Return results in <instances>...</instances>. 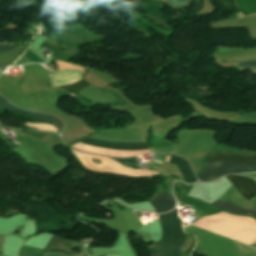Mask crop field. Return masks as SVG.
<instances>
[{"mask_svg":"<svg viewBox=\"0 0 256 256\" xmlns=\"http://www.w3.org/2000/svg\"><path fill=\"white\" fill-rule=\"evenodd\" d=\"M90 84L88 82H86L84 79H82L81 81H79L78 83L75 84H71V85H67V86H63V87H59L60 89H64V90H75V91H79V90H83L86 87H88Z\"/></svg>","mask_w":256,"mask_h":256,"instance_id":"crop-field-11","label":"crop field"},{"mask_svg":"<svg viewBox=\"0 0 256 256\" xmlns=\"http://www.w3.org/2000/svg\"><path fill=\"white\" fill-rule=\"evenodd\" d=\"M172 6H183L188 4L187 0H167Z\"/></svg>","mask_w":256,"mask_h":256,"instance_id":"crop-field-14","label":"crop field"},{"mask_svg":"<svg viewBox=\"0 0 256 256\" xmlns=\"http://www.w3.org/2000/svg\"><path fill=\"white\" fill-rule=\"evenodd\" d=\"M228 180H230L240 194L250 200L256 194V184L253 179L238 177L234 175L225 176ZM251 197V198H250Z\"/></svg>","mask_w":256,"mask_h":256,"instance_id":"crop-field-6","label":"crop field"},{"mask_svg":"<svg viewBox=\"0 0 256 256\" xmlns=\"http://www.w3.org/2000/svg\"><path fill=\"white\" fill-rule=\"evenodd\" d=\"M182 159L176 156H171V160H170V157L167 156L166 162H169L170 160V162L176 164L182 175L183 180L185 182L192 183L193 181H195L196 178L193 172L191 171L188 163Z\"/></svg>","mask_w":256,"mask_h":256,"instance_id":"crop-field-8","label":"crop field"},{"mask_svg":"<svg viewBox=\"0 0 256 256\" xmlns=\"http://www.w3.org/2000/svg\"><path fill=\"white\" fill-rule=\"evenodd\" d=\"M211 205H214V206H216L220 209L226 210V211H230V212L242 214V215H249V216H253L256 218V210L251 211V210L239 208L231 203H227V202H223V201H214L211 203Z\"/></svg>","mask_w":256,"mask_h":256,"instance_id":"crop-field-9","label":"crop field"},{"mask_svg":"<svg viewBox=\"0 0 256 256\" xmlns=\"http://www.w3.org/2000/svg\"><path fill=\"white\" fill-rule=\"evenodd\" d=\"M161 223L162 236L155 246L149 249L152 256H179L178 252L186 240L182 231V222L178 217L177 208L164 215H158Z\"/></svg>","mask_w":256,"mask_h":256,"instance_id":"crop-field-2","label":"crop field"},{"mask_svg":"<svg viewBox=\"0 0 256 256\" xmlns=\"http://www.w3.org/2000/svg\"><path fill=\"white\" fill-rule=\"evenodd\" d=\"M124 165H128V166H131V167H134V166H138L139 164L137 163L136 159L135 158H128V159H114Z\"/></svg>","mask_w":256,"mask_h":256,"instance_id":"crop-field-12","label":"crop field"},{"mask_svg":"<svg viewBox=\"0 0 256 256\" xmlns=\"http://www.w3.org/2000/svg\"><path fill=\"white\" fill-rule=\"evenodd\" d=\"M20 46H0V53H4Z\"/></svg>","mask_w":256,"mask_h":256,"instance_id":"crop-field-15","label":"crop field"},{"mask_svg":"<svg viewBox=\"0 0 256 256\" xmlns=\"http://www.w3.org/2000/svg\"><path fill=\"white\" fill-rule=\"evenodd\" d=\"M80 144L89 145L93 147L113 149V150H144L149 149L146 143H134V144H124V143H114L106 142L100 140H94L90 138H84L80 141H77ZM74 142L73 144H75ZM71 144V145H73ZM152 152V151H151ZM110 157V156H109Z\"/></svg>","mask_w":256,"mask_h":256,"instance_id":"crop-field-4","label":"crop field"},{"mask_svg":"<svg viewBox=\"0 0 256 256\" xmlns=\"http://www.w3.org/2000/svg\"><path fill=\"white\" fill-rule=\"evenodd\" d=\"M70 244H71L70 241H64L53 236L44 249H57V250L68 252L73 255L81 254V253L66 251L63 249L64 246L70 247ZM21 254H24L25 256H40L42 255V250L22 245L18 256H21Z\"/></svg>","mask_w":256,"mask_h":256,"instance_id":"crop-field-5","label":"crop field"},{"mask_svg":"<svg viewBox=\"0 0 256 256\" xmlns=\"http://www.w3.org/2000/svg\"><path fill=\"white\" fill-rule=\"evenodd\" d=\"M239 66H256V60H240L238 61Z\"/></svg>","mask_w":256,"mask_h":256,"instance_id":"crop-field-13","label":"crop field"},{"mask_svg":"<svg viewBox=\"0 0 256 256\" xmlns=\"http://www.w3.org/2000/svg\"><path fill=\"white\" fill-rule=\"evenodd\" d=\"M206 158L221 161L247 162L256 161V154H230L212 152ZM204 163L205 169H203L198 176L199 179L203 181H212L227 173L256 172V162L233 163L205 159Z\"/></svg>","mask_w":256,"mask_h":256,"instance_id":"crop-field-1","label":"crop field"},{"mask_svg":"<svg viewBox=\"0 0 256 256\" xmlns=\"http://www.w3.org/2000/svg\"><path fill=\"white\" fill-rule=\"evenodd\" d=\"M151 212V211H150ZM152 213H155V212H152Z\"/></svg>","mask_w":256,"mask_h":256,"instance_id":"crop-field-16","label":"crop field"},{"mask_svg":"<svg viewBox=\"0 0 256 256\" xmlns=\"http://www.w3.org/2000/svg\"><path fill=\"white\" fill-rule=\"evenodd\" d=\"M235 3L243 16H246V12L249 14L256 13V0H235Z\"/></svg>","mask_w":256,"mask_h":256,"instance_id":"crop-field-10","label":"crop field"},{"mask_svg":"<svg viewBox=\"0 0 256 256\" xmlns=\"http://www.w3.org/2000/svg\"><path fill=\"white\" fill-rule=\"evenodd\" d=\"M0 109L12 111V112H18V113H21V114L31 117L32 119L36 120L37 122L55 125L59 134L61 133L62 128H63V123L58 118H56L54 116L46 115V114L21 110L15 106H13L12 104H10L8 101H6L1 96H0Z\"/></svg>","mask_w":256,"mask_h":256,"instance_id":"crop-field-3","label":"crop field"},{"mask_svg":"<svg viewBox=\"0 0 256 256\" xmlns=\"http://www.w3.org/2000/svg\"><path fill=\"white\" fill-rule=\"evenodd\" d=\"M150 202L157 213L167 212L175 206L172 196L169 194V197H166L165 189L156 197L152 198Z\"/></svg>","mask_w":256,"mask_h":256,"instance_id":"crop-field-7","label":"crop field"}]
</instances>
